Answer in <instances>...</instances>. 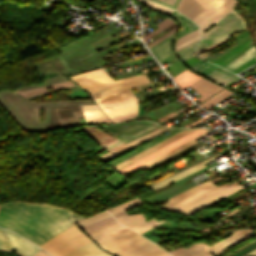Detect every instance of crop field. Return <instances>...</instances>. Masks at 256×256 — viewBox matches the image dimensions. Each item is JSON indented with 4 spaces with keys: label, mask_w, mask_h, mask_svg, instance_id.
Here are the masks:
<instances>
[{
    "label": "crop field",
    "mask_w": 256,
    "mask_h": 256,
    "mask_svg": "<svg viewBox=\"0 0 256 256\" xmlns=\"http://www.w3.org/2000/svg\"><path fill=\"white\" fill-rule=\"evenodd\" d=\"M228 39H230V38H228ZM228 39H226V40L220 42L219 44H217V45H215V46H212V47H210V48H208V49L215 48V47L221 45L222 43H224L225 41H227ZM205 50H207V49H205ZM202 51H203V50H202ZM200 52H201V51H198V52H196V54H198V53H200Z\"/></svg>",
    "instance_id": "b54c1fbb"
},
{
    "label": "crop field",
    "mask_w": 256,
    "mask_h": 256,
    "mask_svg": "<svg viewBox=\"0 0 256 256\" xmlns=\"http://www.w3.org/2000/svg\"><path fill=\"white\" fill-rule=\"evenodd\" d=\"M206 248H208V246L200 243V244L196 245L195 247H193L192 249L188 250L187 252L177 255V256H193L195 254L202 252Z\"/></svg>",
    "instance_id": "1d83c4d3"
},
{
    "label": "crop field",
    "mask_w": 256,
    "mask_h": 256,
    "mask_svg": "<svg viewBox=\"0 0 256 256\" xmlns=\"http://www.w3.org/2000/svg\"><path fill=\"white\" fill-rule=\"evenodd\" d=\"M254 252H256V248H255L254 250L250 251L249 253L243 255V256H249L250 254H252V253H254Z\"/></svg>",
    "instance_id": "25e5ab78"
},
{
    "label": "crop field",
    "mask_w": 256,
    "mask_h": 256,
    "mask_svg": "<svg viewBox=\"0 0 256 256\" xmlns=\"http://www.w3.org/2000/svg\"><path fill=\"white\" fill-rule=\"evenodd\" d=\"M205 134H207V133L205 132V133H203V134H201V135H199V136H197V137H195V138H193V139H191V140H189V141H187V142H185V143H183V144H181V145H179V146H177V147H175V148H173V149H171V150H169V151H167V152H165V153H163L162 155H160V156H158V157H156V158H154V159H152V160H150V161H148V162H146V163H144V164H142V165H140V166H138V167H136V168H134V169H132V170H130V171H128V172H126V173H124V174L127 175V174H129V173H131V172H133V171L139 169L140 167H142V166L148 164L149 162H151V161H153V160H155V159H157V158H159V157H161V156H163V155H165V154H168V153H170V152H172V151H174V150H176V149H178V148H180V147H182V146H184V145H186V144H188V143L194 141L195 139H197V138H199V137H201V136H203V135H205ZM195 142H196V141H195ZM195 142H193V143H195ZM193 143H191V144H193ZM191 144H189V145H191ZM189 145H187V146H189ZM187 146H185V147H187ZM185 147H183V148H185ZM183 148H181V149H183ZM181 149H178V150H176V151H174V152H172V153H170V154H168V155H166V156H164V157H162V158H160V159H158V160H156V161H154V162H152V163H150V164L144 166L143 168H141V170L144 169V168H146V167H148V166H150V165H152V164H154V163H156V162H158V161H160V160H162V159H164V158H166V157H168V156H170V155H172L173 153H175V152H177V151H179V150H181Z\"/></svg>",
    "instance_id": "92a150f3"
},
{
    "label": "crop field",
    "mask_w": 256,
    "mask_h": 256,
    "mask_svg": "<svg viewBox=\"0 0 256 256\" xmlns=\"http://www.w3.org/2000/svg\"><path fill=\"white\" fill-rule=\"evenodd\" d=\"M198 75L192 73L189 70H184L180 74H178L176 77H174L176 83L178 84L180 90L188 86L189 84L193 83L197 79H199Z\"/></svg>",
    "instance_id": "214f88e0"
},
{
    "label": "crop field",
    "mask_w": 256,
    "mask_h": 256,
    "mask_svg": "<svg viewBox=\"0 0 256 256\" xmlns=\"http://www.w3.org/2000/svg\"><path fill=\"white\" fill-rule=\"evenodd\" d=\"M252 236H254V234L251 232L250 229L233 231L231 236H229V237L225 238L224 240L211 246V247L215 248L214 250L211 248H208L206 251H204L196 256H211L210 253L204 254L208 251H212L215 255H218V254L224 252L225 250H227L228 248H230L231 246H233L234 244L241 242L243 240H246Z\"/></svg>",
    "instance_id": "5a996713"
},
{
    "label": "crop field",
    "mask_w": 256,
    "mask_h": 256,
    "mask_svg": "<svg viewBox=\"0 0 256 256\" xmlns=\"http://www.w3.org/2000/svg\"><path fill=\"white\" fill-rule=\"evenodd\" d=\"M138 1L148 5L149 7L153 8L157 11L165 13L167 15H169L173 11V9H170V8L162 6V5L155 4V3L150 2V1H146V0H138Z\"/></svg>",
    "instance_id": "bd1437ed"
},
{
    "label": "crop field",
    "mask_w": 256,
    "mask_h": 256,
    "mask_svg": "<svg viewBox=\"0 0 256 256\" xmlns=\"http://www.w3.org/2000/svg\"><path fill=\"white\" fill-rule=\"evenodd\" d=\"M216 25L220 29L202 37L197 51L217 44L218 42L228 38L227 35L229 34L245 29L243 20L234 11L226 14L216 23Z\"/></svg>",
    "instance_id": "dd49c442"
},
{
    "label": "crop field",
    "mask_w": 256,
    "mask_h": 256,
    "mask_svg": "<svg viewBox=\"0 0 256 256\" xmlns=\"http://www.w3.org/2000/svg\"><path fill=\"white\" fill-rule=\"evenodd\" d=\"M180 131H182V130H179V131H177V132H175V133H173V134H170V135H168V136H166V137H164V138H162V139H160V140H158V141H156V142H154V143H152V144H150V145H147V146H145V147H143V148L137 150L136 152H134V153H132V154H130V155L124 157L123 159H121V160L117 161L116 163L112 164L111 166H113V165L117 164L118 162L123 161V160H125V159H127V158H129V157H131V156H133V155H135V154H137V153L143 151L144 149H146V148H148V147H150V146H152V145H154V144H156V143H158V142H160V141H162V140H164V139H166V138H168V137H170V136H172V135H174V134H176V133H178V132H180Z\"/></svg>",
    "instance_id": "d32e631a"
},
{
    "label": "crop field",
    "mask_w": 256,
    "mask_h": 256,
    "mask_svg": "<svg viewBox=\"0 0 256 256\" xmlns=\"http://www.w3.org/2000/svg\"><path fill=\"white\" fill-rule=\"evenodd\" d=\"M99 245L115 256H148L162 250L129 229L99 243Z\"/></svg>",
    "instance_id": "34b2d1b8"
},
{
    "label": "crop field",
    "mask_w": 256,
    "mask_h": 256,
    "mask_svg": "<svg viewBox=\"0 0 256 256\" xmlns=\"http://www.w3.org/2000/svg\"><path fill=\"white\" fill-rule=\"evenodd\" d=\"M161 222H163V221L157 222L156 220L151 219L147 222L144 221V222H142L138 225H135L133 227H130V228L133 229L134 231L138 232V233H141V232H143V231H145V230H147V229H149V228H151V227H153V226H155V225H157Z\"/></svg>",
    "instance_id": "ae1a2a85"
},
{
    "label": "crop field",
    "mask_w": 256,
    "mask_h": 256,
    "mask_svg": "<svg viewBox=\"0 0 256 256\" xmlns=\"http://www.w3.org/2000/svg\"><path fill=\"white\" fill-rule=\"evenodd\" d=\"M165 131H168V130L167 129L157 128L154 131H152V132H150V133H148V134H146V135H144V136H142V137H140V138H138V139H136L134 141H131V142H129L127 144H124V145H122L120 147H117V148H115L113 150H110V151L100 155L99 157H100V159L102 161H105V160L109 159L110 157H112V156H114V155H116V154H118V153H120V152H122V151H124V150H126V149H128V148H130L132 146H134V145H137V144H139V143H141V142H143V141H145L147 139H150V138H152V137H154V136H156L158 134H161V133H163Z\"/></svg>",
    "instance_id": "5142ce71"
},
{
    "label": "crop field",
    "mask_w": 256,
    "mask_h": 256,
    "mask_svg": "<svg viewBox=\"0 0 256 256\" xmlns=\"http://www.w3.org/2000/svg\"><path fill=\"white\" fill-rule=\"evenodd\" d=\"M175 35L176 31L149 47V49L153 52V54L161 64L174 56L173 52L171 51V45Z\"/></svg>",
    "instance_id": "28ad6ade"
},
{
    "label": "crop field",
    "mask_w": 256,
    "mask_h": 256,
    "mask_svg": "<svg viewBox=\"0 0 256 256\" xmlns=\"http://www.w3.org/2000/svg\"><path fill=\"white\" fill-rule=\"evenodd\" d=\"M250 256H256V253H254V254H252V255H250Z\"/></svg>",
    "instance_id": "dbb93151"
},
{
    "label": "crop field",
    "mask_w": 256,
    "mask_h": 256,
    "mask_svg": "<svg viewBox=\"0 0 256 256\" xmlns=\"http://www.w3.org/2000/svg\"><path fill=\"white\" fill-rule=\"evenodd\" d=\"M212 64H209L207 62H204L202 60L197 61L195 64H193L190 68L193 69L194 71L200 73L203 70L207 69L208 67H210Z\"/></svg>",
    "instance_id": "120bbe31"
},
{
    "label": "crop field",
    "mask_w": 256,
    "mask_h": 256,
    "mask_svg": "<svg viewBox=\"0 0 256 256\" xmlns=\"http://www.w3.org/2000/svg\"><path fill=\"white\" fill-rule=\"evenodd\" d=\"M254 55H256V49L253 46L225 67L233 70L237 68L239 65H241L243 62L248 60L249 58L253 57Z\"/></svg>",
    "instance_id": "dafd665d"
},
{
    "label": "crop field",
    "mask_w": 256,
    "mask_h": 256,
    "mask_svg": "<svg viewBox=\"0 0 256 256\" xmlns=\"http://www.w3.org/2000/svg\"><path fill=\"white\" fill-rule=\"evenodd\" d=\"M149 61V60H153L150 56H148V57H145V58H142V59H137V60H132V61H129V62H127V63H124V64H122L123 65V67H125V66H129V65H133V64H137V63H141L142 61Z\"/></svg>",
    "instance_id": "0bd39190"
},
{
    "label": "crop field",
    "mask_w": 256,
    "mask_h": 256,
    "mask_svg": "<svg viewBox=\"0 0 256 256\" xmlns=\"http://www.w3.org/2000/svg\"><path fill=\"white\" fill-rule=\"evenodd\" d=\"M230 94H232V92L224 89L200 105L207 109L212 105L216 104L217 102H219L220 100L224 99L225 97L229 96Z\"/></svg>",
    "instance_id": "a9b5d70f"
},
{
    "label": "crop field",
    "mask_w": 256,
    "mask_h": 256,
    "mask_svg": "<svg viewBox=\"0 0 256 256\" xmlns=\"http://www.w3.org/2000/svg\"><path fill=\"white\" fill-rule=\"evenodd\" d=\"M206 77H208L214 81H217L223 85H226V86L233 83L234 81L240 79L221 68L215 69L210 74H208Z\"/></svg>",
    "instance_id": "4a817a6b"
},
{
    "label": "crop field",
    "mask_w": 256,
    "mask_h": 256,
    "mask_svg": "<svg viewBox=\"0 0 256 256\" xmlns=\"http://www.w3.org/2000/svg\"><path fill=\"white\" fill-rule=\"evenodd\" d=\"M226 0H180L176 8L196 23Z\"/></svg>",
    "instance_id": "e52e79f7"
},
{
    "label": "crop field",
    "mask_w": 256,
    "mask_h": 256,
    "mask_svg": "<svg viewBox=\"0 0 256 256\" xmlns=\"http://www.w3.org/2000/svg\"><path fill=\"white\" fill-rule=\"evenodd\" d=\"M173 17H175L178 21H179V23H180V25H183V24H185L186 22H188V21H190V20H188L187 18H185L184 16H182L180 13H178L177 11H173V13L171 14Z\"/></svg>",
    "instance_id": "e1f06a70"
},
{
    "label": "crop field",
    "mask_w": 256,
    "mask_h": 256,
    "mask_svg": "<svg viewBox=\"0 0 256 256\" xmlns=\"http://www.w3.org/2000/svg\"><path fill=\"white\" fill-rule=\"evenodd\" d=\"M151 126H154V124L149 122H137L123 125L104 126L100 128L104 129L114 137L118 138L122 135L129 137L133 136Z\"/></svg>",
    "instance_id": "3316defc"
},
{
    "label": "crop field",
    "mask_w": 256,
    "mask_h": 256,
    "mask_svg": "<svg viewBox=\"0 0 256 256\" xmlns=\"http://www.w3.org/2000/svg\"><path fill=\"white\" fill-rule=\"evenodd\" d=\"M158 256H171L170 254H168L167 252L161 254V255H158Z\"/></svg>",
    "instance_id": "73cf0c24"
},
{
    "label": "crop field",
    "mask_w": 256,
    "mask_h": 256,
    "mask_svg": "<svg viewBox=\"0 0 256 256\" xmlns=\"http://www.w3.org/2000/svg\"><path fill=\"white\" fill-rule=\"evenodd\" d=\"M83 218L84 217L71 212L57 223H55L53 226L45 230L41 235L33 240V242L37 243L47 251L65 239L80 232L76 225L73 223Z\"/></svg>",
    "instance_id": "412701ff"
},
{
    "label": "crop field",
    "mask_w": 256,
    "mask_h": 256,
    "mask_svg": "<svg viewBox=\"0 0 256 256\" xmlns=\"http://www.w3.org/2000/svg\"><path fill=\"white\" fill-rule=\"evenodd\" d=\"M215 28H217V27L215 26V27H213L212 29H210L209 31H211V30H213V29H215ZM209 31H208V32H209ZM206 33H207V32H206Z\"/></svg>",
    "instance_id": "1f2cbd36"
},
{
    "label": "crop field",
    "mask_w": 256,
    "mask_h": 256,
    "mask_svg": "<svg viewBox=\"0 0 256 256\" xmlns=\"http://www.w3.org/2000/svg\"><path fill=\"white\" fill-rule=\"evenodd\" d=\"M243 188L241 185L214 186L206 180L197 186L177 194L160 208L191 215L220 198Z\"/></svg>",
    "instance_id": "ac0d7876"
},
{
    "label": "crop field",
    "mask_w": 256,
    "mask_h": 256,
    "mask_svg": "<svg viewBox=\"0 0 256 256\" xmlns=\"http://www.w3.org/2000/svg\"><path fill=\"white\" fill-rule=\"evenodd\" d=\"M17 251L18 256H33L40 248L22 237L0 228V251L11 253Z\"/></svg>",
    "instance_id": "d8731c3e"
},
{
    "label": "crop field",
    "mask_w": 256,
    "mask_h": 256,
    "mask_svg": "<svg viewBox=\"0 0 256 256\" xmlns=\"http://www.w3.org/2000/svg\"><path fill=\"white\" fill-rule=\"evenodd\" d=\"M211 115H212V114H209V115H207V116H205V117H203V118H201V119H199V120H197V121H195V122H193V123L187 125L186 127H190V126H192V125H195V124H197V123H199V122L205 120L206 118H208V117L211 116Z\"/></svg>",
    "instance_id": "c035e120"
},
{
    "label": "crop field",
    "mask_w": 256,
    "mask_h": 256,
    "mask_svg": "<svg viewBox=\"0 0 256 256\" xmlns=\"http://www.w3.org/2000/svg\"><path fill=\"white\" fill-rule=\"evenodd\" d=\"M137 204H141V201L137 200V201H135V202H132V203H130V204H127V205H125V206H122V207H120V208L114 209V210L109 211V212H110L111 214H114V213H116V212H118V211H121V210H123V209H125V208H128V207L133 206V205H137Z\"/></svg>",
    "instance_id": "b80d0937"
},
{
    "label": "crop field",
    "mask_w": 256,
    "mask_h": 256,
    "mask_svg": "<svg viewBox=\"0 0 256 256\" xmlns=\"http://www.w3.org/2000/svg\"><path fill=\"white\" fill-rule=\"evenodd\" d=\"M193 130H195V129L184 130V131H182V132H180V133H178V134H176V135H174V136H172V137H170V138H168V139H166V140H164V141H162V142H160V143H158V144H156V145H154V146H152V147H150V148H148L146 150H144L143 152L135 155L134 157H132L130 159H127V160H125V161H123V162L113 166V167L117 171L118 169H120V168H122V167H124V166H126V165H128V164H130V163H132V162H134L136 160H138L139 158H141V157H143V156L153 152L154 150H156V149H158V148H160V147H162V146H164V145H166V144H168V143H170V142H172V141H174V140H176V139H178V138H180V137H182V136H184V135H186V134H188L190 132H192Z\"/></svg>",
    "instance_id": "cbeb9de0"
},
{
    "label": "crop field",
    "mask_w": 256,
    "mask_h": 256,
    "mask_svg": "<svg viewBox=\"0 0 256 256\" xmlns=\"http://www.w3.org/2000/svg\"><path fill=\"white\" fill-rule=\"evenodd\" d=\"M163 252H165V251L162 250V251H160V252H158V253H156V254H154V255H151V256H156V255L161 254V253H163Z\"/></svg>",
    "instance_id": "89e229c0"
},
{
    "label": "crop field",
    "mask_w": 256,
    "mask_h": 256,
    "mask_svg": "<svg viewBox=\"0 0 256 256\" xmlns=\"http://www.w3.org/2000/svg\"><path fill=\"white\" fill-rule=\"evenodd\" d=\"M202 132H204V131L195 130L194 132L190 133L189 135H187V136H185V137H183V138H181L179 140H176V141H174V142L164 146L163 148H161V149H159V150H157V151H155V152H153V153H151V154L141 158L137 162H135V163H133V164H131V165H129V166H127V167L117 171V172L122 174L123 172H125V171H127L129 169H132V168H134V167H136V166H138V165H140V164H142V163H144V162H146V161H148V160H150V159H152V158L162 154L163 152H165V151H167V150H169V149H171V148H173V147H175V146H177V145H179V144H181V143H183V142H185V141H187V140H189V139H191V138H193V137H195L197 135H199Z\"/></svg>",
    "instance_id": "22f410ed"
},
{
    "label": "crop field",
    "mask_w": 256,
    "mask_h": 256,
    "mask_svg": "<svg viewBox=\"0 0 256 256\" xmlns=\"http://www.w3.org/2000/svg\"><path fill=\"white\" fill-rule=\"evenodd\" d=\"M120 223L130 227L132 225H135L141 221H143V215H132V216H127L126 214L116 218Z\"/></svg>",
    "instance_id": "4177f3b9"
},
{
    "label": "crop field",
    "mask_w": 256,
    "mask_h": 256,
    "mask_svg": "<svg viewBox=\"0 0 256 256\" xmlns=\"http://www.w3.org/2000/svg\"><path fill=\"white\" fill-rule=\"evenodd\" d=\"M154 127H156V126H154ZM154 127H152V128H154ZM152 128H150V129H152ZM150 129H148V130H150ZM148 130H146V131H148ZM146 131H143V132H141V133H139V134H137V135H135V136H133V137H131V138H128V140H129V139H132V138H134V137H136V136H138V135H140V134H142V133H144V132H146ZM125 141H127V139L123 136V137H121V138H119V139H116V140H114V141H112V142H110V143H108V144H106V145H104V146H102V147L96 149L95 152L102 151V150H104V149H106V148L110 149V148H112V147H114V146H116V145H118V144H121V143H123V142H125ZM108 149H106V150H108ZM106 150H105V151H106Z\"/></svg>",
    "instance_id": "d3111659"
},
{
    "label": "crop field",
    "mask_w": 256,
    "mask_h": 256,
    "mask_svg": "<svg viewBox=\"0 0 256 256\" xmlns=\"http://www.w3.org/2000/svg\"><path fill=\"white\" fill-rule=\"evenodd\" d=\"M69 212L47 204H3L0 206V227L32 241Z\"/></svg>",
    "instance_id": "8a807250"
},
{
    "label": "crop field",
    "mask_w": 256,
    "mask_h": 256,
    "mask_svg": "<svg viewBox=\"0 0 256 256\" xmlns=\"http://www.w3.org/2000/svg\"><path fill=\"white\" fill-rule=\"evenodd\" d=\"M53 256H111L99 249L82 232L47 251Z\"/></svg>",
    "instance_id": "f4fd0767"
},
{
    "label": "crop field",
    "mask_w": 256,
    "mask_h": 256,
    "mask_svg": "<svg viewBox=\"0 0 256 256\" xmlns=\"http://www.w3.org/2000/svg\"><path fill=\"white\" fill-rule=\"evenodd\" d=\"M195 29H197L196 26L194 25L193 22L190 21L187 24H185L184 26H182L181 33H180L179 37H181V36L191 32V31H193Z\"/></svg>",
    "instance_id": "5866460e"
},
{
    "label": "crop field",
    "mask_w": 256,
    "mask_h": 256,
    "mask_svg": "<svg viewBox=\"0 0 256 256\" xmlns=\"http://www.w3.org/2000/svg\"><path fill=\"white\" fill-rule=\"evenodd\" d=\"M238 3L239 2H237L236 0H227L226 2H224L221 6L215 9L210 15H208L206 18H204L199 23H197L198 27L200 28V31L203 32L208 27L213 25L215 22L220 20L226 13L232 10L234 6Z\"/></svg>",
    "instance_id": "d1516ede"
},
{
    "label": "crop field",
    "mask_w": 256,
    "mask_h": 256,
    "mask_svg": "<svg viewBox=\"0 0 256 256\" xmlns=\"http://www.w3.org/2000/svg\"><path fill=\"white\" fill-rule=\"evenodd\" d=\"M135 200H137V198H135V199H133V200H131V201H128V202H126V203H123V204H121V205H119V206H122V205H124V204H127V203L132 202V201H135ZM119 206H116V207L107 209V211H109V210H111V209H114V208H117V207H119Z\"/></svg>",
    "instance_id": "d23c7cc5"
},
{
    "label": "crop field",
    "mask_w": 256,
    "mask_h": 256,
    "mask_svg": "<svg viewBox=\"0 0 256 256\" xmlns=\"http://www.w3.org/2000/svg\"><path fill=\"white\" fill-rule=\"evenodd\" d=\"M173 23H175V21L171 20L170 18H167V19L157 23L156 26H158L159 28L154 30L150 34L146 35L145 37H143V41L149 39L150 37L154 36L155 34L159 33L160 31L164 30L165 28L169 27Z\"/></svg>",
    "instance_id": "eef30255"
},
{
    "label": "crop field",
    "mask_w": 256,
    "mask_h": 256,
    "mask_svg": "<svg viewBox=\"0 0 256 256\" xmlns=\"http://www.w3.org/2000/svg\"><path fill=\"white\" fill-rule=\"evenodd\" d=\"M197 60H198V59L194 56V57H192V58H190V59H188V60H186V61H184V62H185V64L188 66V65L194 63V62L197 61Z\"/></svg>",
    "instance_id": "c21b1889"
},
{
    "label": "crop field",
    "mask_w": 256,
    "mask_h": 256,
    "mask_svg": "<svg viewBox=\"0 0 256 256\" xmlns=\"http://www.w3.org/2000/svg\"><path fill=\"white\" fill-rule=\"evenodd\" d=\"M209 53H212V51H208V52H206V53H201V54H199V56L202 58V57L206 56V55L209 54Z\"/></svg>",
    "instance_id": "425ffa30"
},
{
    "label": "crop field",
    "mask_w": 256,
    "mask_h": 256,
    "mask_svg": "<svg viewBox=\"0 0 256 256\" xmlns=\"http://www.w3.org/2000/svg\"><path fill=\"white\" fill-rule=\"evenodd\" d=\"M34 256H50V255H48V254H46V253H44V252H42L41 250L36 254V255H34Z\"/></svg>",
    "instance_id": "5d738f31"
},
{
    "label": "crop field",
    "mask_w": 256,
    "mask_h": 256,
    "mask_svg": "<svg viewBox=\"0 0 256 256\" xmlns=\"http://www.w3.org/2000/svg\"><path fill=\"white\" fill-rule=\"evenodd\" d=\"M161 1H163V2H165L167 4H170V5L174 6V7L176 6V4L178 2V0H161Z\"/></svg>",
    "instance_id": "03da06ac"
},
{
    "label": "crop field",
    "mask_w": 256,
    "mask_h": 256,
    "mask_svg": "<svg viewBox=\"0 0 256 256\" xmlns=\"http://www.w3.org/2000/svg\"><path fill=\"white\" fill-rule=\"evenodd\" d=\"M125 229H127V228H125L123 225L115 222L106 227H103L101 229L90 232V233H88V235L90 237H92L98 243V242H100L108 237H111Z\"/></svg>",
    "instance_id": "733c2abd"
},
{
    "label": "crop field",
    "mask_w": 256,
    "mask_h": 256,
    "mask_svg": "<svg viewBox=\"0 0 256 256\" xmlns=\"http://www.w3.org/2000/svg\"><path fill=\"white\" fill-rule=\"evenodd\" d=\"M256 62V56H254L253 58L249 59L248 61H246L245 63H243L241 66H239L237 69L233 70L235 73L254 64Z\"/></svg>",
    "instance_id": "028f5c9d"
},
{
    "label": "crop field",
    "mask_w": 256,
    "mask_h": 256,
    "mask_svg": "<svg viewBox=\"0 0 256 256\" xmlns=\"http://www.w3.org/2000/svg\"><path fill=\"white\" fill-rule=\"evenodd\" d=\"M109 215H110V214H109L107 211L103 210V211H101V212H99V213H97V214H94V215H92V216H90V217H88V218H85V219H83V220H81V221H79V222H77V223H78V225H79L80 227H82V226H84V225L90 224V223H92V222H95V221H97V220H100V219H102V218H104V217H107V216H109Z\"/></svg>",
    "instance_id": "730fd06b"
},
{
    "label": "crop field",
    "mask_w": 256,
    "mask_h": 256,
    "mask_svg": "<svg viewBox=\"0 0 256 256\" xmlns=\"http://www.w3.org/2000/svg\"><path fill=\"white\" fill-rule=\"evenodd\" d=\"M189 87H191L201 95L198 99H196L199 102L205 100L206 98H208L209 96H211L212 94H214L222 88L204 78L200 79L199 81L195 82Z\"/></svg>",
    "instance_id": "d9b57169"
},
{
    "label": "crop field",
    "mask_w": 256,
    "mask_h": 256,
    "mask_svg": "<svg viewBox=\"0 0 256 256\" xmlns=\"http://www.w3.org/2000/svg\"><path fill=\"white\" fill-rule=\"evenodd\" d=\"M219 156H221V154H219V155H217V156H215V157H213V158H211V159H209V160H207L205 162H202V163H200V164H198V165H196V166H194V167H192V168H190V169H188L186 171H183V172H181V173H179V174H177V175H175V176H173V177H171L169 179H166V180H164V181H162V182H160V183L150 187V189L152 191H154V190H156V189H158L160 187H163V186H165V185H167V184H169L171 182H174V181H176V180H178V179H180V178H182V177H184V176H186V175H188V174H190V173H192V172H194V171L204 167L203 164H205V163H207V162H209V161H211V160H213V159H215V158H217Z\"/></svg>",
    "instance_id": "bc2a9ffb"
},
{
    "label": "crop field",
    "mask_w": 256,
    "mask_h": 256,
    "mask_svg": "<svg viewBox=\"0 0 256 256\" xmlns=\"http://www.w3.org/2000/svg\"><path fill=\"white\" fill-rule=\"evenodd\" d=\"M197 42L189 45V46H186L178 51H176L175 53L183 60L189 58L190 56L194 55L193 54V50H194V47L196 45Z\"/></svg>",
    "instance_id": "750c4746"
},
{
    "label": "crop field",
    "mask_w": 256,
    "mask_h": 256,
    "mask_svg": "<svg viewBox=\"0 0 256 256\" xmlns=\"http://www.w3.org/2000/svg\"><path fill=\"white\" fill-rule=\"evenodd\" d=\"M252 42H253V40L251 38L247 42H245L244 44H242V45L236 47L235 49H233L232 51H230V52L228 51L229 53L221 56L220 58L215 60L213 63H216L218 65L222 64L223 62L227 61L228 59H230L231 57L236 55L239 51L243 50L245 47H247Z\"/></svg>",
    "instance_id": "00972430"
}]
</instances>
